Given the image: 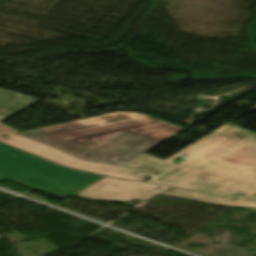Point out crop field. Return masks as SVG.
Wrapping results in <instances>:
<instances>
[{
	"label": "crop field",
	"mask_w": 256,
	"mask_h": 256,
	"mask_svg": "<svg viewBox=\"0 0 256 256\" xmlns=\"http://www.w3.org/2000/svg\"><path fill=\"white\" fill-rule=\"evenodd\" d=\"M16 130L0 123V141L16 148L31 152L37 156L54 161L62 166H69L77 169L91 171L103 174L109 177L120 178L125 180L141 181L147 174L134 171L125 167L100 163L84 161L75 158L63 151L49 147L47 145L38 143L28 138L17 135Z\"/></svg>",
	"instance_id": "4"
},
{
	"label": "crop field",
	"mask_w": 256,
	"mask_h": 256,
	"mask_svg": "<svg viewBox=\"0 0 256 256\" xmlns=\"http://www.w3.org/2000/svg\"><path fill=\"white\" fill-rule=\"evenodd\" d=\"M162 189L163 187L147 183L105 177L76 195L91 199L129 201L132 198H138L145 201Z\"/></svg>",
	"instance_id": "6"
},
{
	"label": "crop field",
	"mask_w": 256,
	"mask_h": 256,
	"mask_svg": "<svg viewBox=\"0 0 256 256\" xmlns=\"http://www.w3.org/2000/svg\"><path fill=\"white\" fill-rule=\"evenodd\" d=\"M133 114H136V113L115 112V113H111V114H106V115H102V116H97V117L88 118V119H84V120H79V121H75V122H70V123L50 126V127L41 128V129L45 130L47 132H50L52 134H55V135H58V136L62 137L64 134H67V133H72V132H77V131H81V130H86V129L96 128V127L111 125V124H115V123H120V122H125V121H130V120H135V119H141V118L149 117V116L143 115V114H136V116H133V117H128V118H123V119H118V120H113V121H108V122L88 125V124L97 123V122H101V121H106V120H110V119H115V118H120V117H124V116H129V115H133ZM150 118L151 119H149L147 121H143V122L133 123V124H129V125L119 126V127L105 129V130H100V131H95V132L79 134V135L67 137L65 139L70 140V138H73V137L89 135V134H94V133H99V132H104V131H109V130H114V129H120V128H125V127L140 125V124H144V123L159 121V120H156V119H154L152 117H150ZM159 122L160 123L156 124V125H151V126H146V127H139V128H133V129H129L128 131L134 132L135 130H141V129L155 127V126H164L163 128L153 129L151 131L141 132L140 133V134H143V135H145V136H147L149 138H153V139H157V140L161 141V140L171 136L172 134H174L177 131L182 129V128H179V127H176V126H173V125L161 122V121H159ZM85 125H88V126H85ZM113 133H115V132H113ZM113 133L104 134V135L95 136V137H90V138H85V139H81V140H76V141H73V142L80 143V142H82V141H84L86 139L91 140V141L99 142V141L103 140L104 138L110 136Z\"/></svg>",
	"instance_id": "5"
},
{
	"label": "crop field",
	"mask_w": 256,
	"mask_h": 256,
	"mask_svg": "<svg viewBox=\"0 0 256 256\" xmlns=\"http://www.w3.org/2000/svg\"><path fill=\"white\" fill-rule=\"evenodd\" d=\"M156 123H158V122L149 123V124L140 125V126H146V125H151V124H156ZM135 127H139V126H135ZM130 128H133V127H130ZM125 129H129V128H125ZM120 130H123V129H120ZM114 131H118V130H114ZM109 132H113V131H109ZM109 132H104V133H109ZM104 133H99V134H94V135H89V136H83V137L73 138L72 140L81 139V138L90 137V136H95V135H100V134H104Z\"/></svg>",
	"instance_id": "8"
},
{
	"label": "crop field",
	"mask_w": 256,
	"mask_h": 256,
	"mask_svg": "<svg viewBox=\"0 0 256 256\" xmlns=\"http://www.w3.org/2000/svg\"><path fill=\"white\" fill-rule=\"evenodd\" d=\"M102 178L61 167L0 143V181L9 179L63 199Z\"/></svg>",
	"instance_id": "2"
},
{
	"label": "crop field",
	"mask_w": 256,
	"mask_h": 256,
	"mask_svg": "<svg viewBox=\"0 0 256 256\" xmlns=\"http://www.w3.org/2000/svg\"><path fill=\"white\" fill-rule=\"evenodd\" d=\"M147 119H149V118L141 119V120H135V121H130V122H125V123H120V124H115V125H111V126H106V127H101V128H96V129H91V130H86V131H81V132L72 133V134H67V135H64V137L70 136V135H74V134L94 131V130H100V129L110 128V127H115V126H119V125L129 124V123H133V122L143 121V120H147Z\"/></svg>",
	"instance_id": "7"
},
{
	"label": "crop field",
	"mask_w": 256,
	"mask_h": 256,
	"mask_svg": "<svg viewBox=\"0 0 256 256\" xmlns=\"http://www.w3.org/2000/svg\"><path fill=\"white\" fill-rule=\"evenodd\" d=\"M155 128H158V127H155ZM153 128H150V129H146V130H151ZM146 130H141V131H146ZM136 132H140V131H136Z\"/></svg>",
	"instance_id": "9"
},
{
	"label": "crop field",
	"mask_w": 256,
	"mask_h": 256,
	"mask_svg": "<svg viewBox=\"0 0 256 256\" xmlns=\"http://www.w3.org/2000/svg\"><path fill=\"white\" fill-rule=\"evenodd\" d=\"M20 135L63 150L75 157L120 165L142 153L158 141L126 130L119 131L103 141H85L75 144L40 129Z\"/></svg>",
	"instance_id": "3"
},
{
	"label": "crop field",
	"mask_w": 256,
	"mask_h": 256,
	"mask_svg": "<svg viewBox=\"0 0 256 256\" xmlns=\"http://www.w3.org/2000/svg\"><path fill=\"white\" fill-rule=\"evenodd\" d=\"M184 153L190 158L152 182L196 192L168 188L161 195L256 209V135L236 126L228 125L164 161L144 154L126 165L157 176Z\"/></svg>",
	"instance_id": "1"
}]
</instances>
